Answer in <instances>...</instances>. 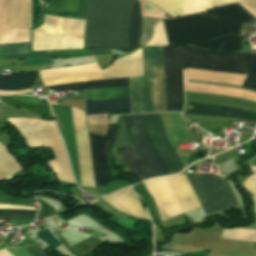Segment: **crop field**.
I'll return each instance as SVG.
<instances>
[{
    "label": "crop field",
    "instance_id": "1",
    "mask_svg": "<svg viewBox=\"0 0 256 256\" xmlns=\"http://www.w3.org/2000/svg\"><path fill=\"white\" fill-rule=\"evenodd\" d=\"M204 13L216 17L193 14L164 21L169 45H186L217 51L223 43L220 51L232 52L242 49L239 35L216 37L228 33H239L241 23L251 22L253 16L238 4ZM210 39L213 40L208 41Z\"/></svg>",
    "mask_w": 256,
    "mask_h": 256
},
{
    "label": "crop field",
    "instance_id": "2",
    "mask_svg": "<svg viewBox=\"0 0 256 256\" xmlns=\"http://www.w3.org/2000/svg\"><path fill=\"white\" fill-rule=\"evenodd\" d=\"M167 111L182 107L181 67L248 75L256 62V54H231L188 47L163 48ZM244 87L256 89V63L247 76Z\"/></svg>",
    "mask_w": 256,
    "mask_h": 256
},
{
    "label": "crop field",
    "instance_id": "3",
    "mask_svg": "<svg viewBox=\"0 0 256 256\" xmlns=\"http://www.w3.org/2000/svg\"><path fill=\"white\" fill-rule=\"evenodd\" d=\"M139 33L137 0H90L84 48L132 50L138 45Z\"/></svg>",
    "mask_w": 256,
    "mask_h": 256
},
{
    "label": "crop field",
    "instance_id": "4",
    "mask_svg": "<svg viewBox=\"0 0 256 256\" xmlns=\"http://www.w3.org/2000/svg\"><path fill=\"white\" fill-rule=\"evenodd\" d=\"M138 147L156 177L180 172L184 165L169 144L159 113L127 115ZM127 116L121 118L113 148L135 146L153 177L154 173L140 153ZM177 142L178 138L175 137Z\"/></svg>",
    "mask_w": 256,
    "mask_h": 256
},
{
    "label": "crop field",
    "instance_id": "5",
    "mask_svg": "<svg viewBox=\"0 0 256 256\" xmlns=\"http://www.w3.org/2000/svg\"><path fill=\"white\" fill-rule=\"evenodd\" d=\"M207 215L238 206L228 182L214 174H183ZM158 208L161 220L180 214L164 177L144 181Z\"/></svg>",
    "mask_w": 256,
    "mask_h": 256
},
{
    "label": "crop field",
    "instance_id": "6",
    "mask_svg": "<svg viewBox=\"0 0 256 256\" xmlns=\"http://www.w3.org/2000/svg\"><path fill=\"white\" fill-rule=\"evenodd\" d=\"M71 112L82 185L94 187V183L95 186H100L111 182L107 156L110 154L118 123L109 124L106 136L88 132L94 176L93 183L84 112L72 107Z\"/></svg>",
    "mask_w": 256,
    "mask_h": 256
},
{
    "label": "crop field",
    "instance_id": "7",
    "mask_svg": "<svg viewBox=\"0 0 256 256\" xmlns=\"http://www.w3.org/2000/svg\"><path fill=\"white\" fill-rule=\"evenodd\" d=\"M245 78L246 76H243V75H234V74L208 72V71L191 70V69L184 70V80H190V81L242 86ZM190 81H184V82H190ZM199 82H190V83H199ZM208 83H200V84H208ZM218 84H208V85L237 88V89L256 92V90H252L244 87L218 85ZM208 85L185 83V91L226 95V96H233V97H239L243 99L256 101V93L237 90V89L208 86ZM185 114L227 117V118H240V119L256 122L255 113L241 111L237 109H231V108L204 106V105H197V104H190V103H187V109Z\"/></svg>",
    "mask_w": 256,
    "mask_h": 256
},
{
    "label": "crop field",
    "instance_id": "8",
    "mask_svg": "<svg viewBox=\"0 0 256 256\" xmlns=\"http://www.w3.org/2000/svg\"><path fill=\"white\" fill-rule=\"evenodd\" d=\"M144 76L129 78L131 114L166 111L162 48H142Z\"/></svg>",
    "mask_w": 256,
    "mask_h": 256
},
{
    "label": "crop field",
    "instance_id": "9",
    "mask_svg": "<svg viewBox=\"0 0 256 256\" xmlns=\"http://www.w3.org/2000/svg\"><path fill=\"white\" fill-rule=\"evenodd\" d=\"M124 85H129L128 78L97 80L49 86L48 88L54 91H60L74 89L106 88ZM86 96L87 101L130 97L129 86L86 90ZM126 110H131L130 98L87 102V115Z\"/></svg>",
    "mask_w": 256,
    "mask_h": 256
},
{
    "label": "crop field",
    "instance_id": "10",
    "mask_svg": "<svg viewBox=\"0 0 256 256\" xmlns=\"http://www.w3.org/2000/svg\"><path fill=\"white\" fill-rule=\"evenodd\" d=\"M30 41V29H20V0H0V43Z\"/></svg>",
    "mask_w": 256,
    "mask_h": 256
},
{
    "label": "crop field",
    "instance_id": "11",
    "mask_svg": "<svg viewBox=\"0 0 256 256\" xmlns=\"http://www.w3.org/2000/svg\"><path fill=\"white\" fill-rule=\"evenodd\" d=\"M143 75L141 49L102 70V79Z\"/></svg>",
    "mask_w": 256,
    "mask_h": 256
},
{
    "label": "crop field",
    "instance_id": "12",
    "mask_svg": "<svg viewBox=\"0 0 256 256\" xmlns=\"http://www.w3.org/2000/svg\"><path fill=\"white\" fill-rule=\"evenodd\" d=\"M14 58H28L20 63V65H42L51 63L48 54L30 55V42L0 44V60Z\"/></svg>",
    "mask_w": 256,
    "mask_h": 256
},
{
    "label": "crop field",
    "instance_id": "13",
    "mask_svg": "<svg viewBox=\"0 0 256 256\" xmlns=\"http://www.w3.org/2000/svg\"><path fill=\"white\" fill-rule=\"evenodd\" d=\"M26 139H34L59 134L53 122L15 118L7 119Z\"/></svg>",
    "mask_w": 256,
    "mask_h": 256
},
{
    "label": "crop field",
    "instance_id": "14",
    "mask_svg": "<svg viewBox=\"0 0 256 256\" xmlns=\"http://www.w3.org/2000/svg\"><path fill=\"white\" fill-rule=\"evenodd\" d=\"M36 78V73L2 76L0 77V90L28 89L31 88ZM29 92H31V89L22 91H0V94H23Z\"/></svg>",
    "mask_w": 256,
    "mask_h": 256
},
{
    "label": "crop field",
    "instance_id": "15",
    "mask_svg": "<svg viewBox=\"0 0 256 256\" xmlns=\"http://www.w3.org/2000/svg\"><path fill=\"white\" fill-rule=\"evenodd\" d=\"M123 161L128 166L132 175L140 180L151 178L152 175L146 168L145 164L135 151L134 147L118 149Z\"/></svg>",
    "mask_w": 256,
    "mask_h": 256
},
{
    "label": "crop field",
    "instance_id": "16",
    "mask_svg": "<svg viewBox=\"0 0 256 256\" xmlns=\"http://www.w3.org/2000/svg\"><path fill=\"white\" fill-rule=\"evenodd\" d=\"M1 101L9 105L21 107L39 116L50 117L48 107L43 106L37 97L9 96L3 97Z\"/></svg>",
    "mask_w": 256,
    "mask_h": 256
},
{
    "label": "crop field",
    "instance_id": "17",
    "mask_svg": "<svg viewBox=\"0 0 256 256\" xmlns=\"http://www.w3.org/2000/svg\"><path fill=\"white\" fill-rule=\"evenodd\" d=\"M50 1L48 7L43 6L44 11L60 14L79 15L82 0H43Z\"/></svg>",
    "mask_w": 256,
    "mask_h": 256
},
{
    "label": "crop field",
    "instance_id": "18",
    "mask_svg": "<svg viewBox=\"0 0 256 256\" xmlns=\"http://www.w3.org/2000/svg\"><path fill=\"white\" fill-rule=\"evenodd\" d=\"M21 169L18 162L11 157L4 145L0 144V178L5 175L11 176Z\"/></svg>",
    "mask_w": 256,
    "mask_h": 256
},
{
    "label": "crop field",
    "instance_id": "19",
    "mask_svg": "<svg viewBox=\"0 0 256 256\" xmlns=\"http://www.w3.org/2000/svg\"><path fill=\"white\" fill-rule=\"evenodd\" d=\"M149 2L166 12L171 17L183 15L182 0H142Z\"/></svg>",
    "mask_w": 256,
    "mask_h": 256
},
{
    "label": "crop field",
    "instance_id": "20",
    "mask_svg": "<svg viewBox=\"0 0 256 256\" xmlns=\"http://www.w3.org/2000/svg\"><path fill=\"white\" fill-rule=\"evenodd\" d=\"M222 237L256 242V231L243 229H225Z\"/></svg>",
    "mask_w": 256,
    "mask_h": 256
},
{
    "label": "crop field",
    "instance_id": "21",
    "mask_svg": "<svg viewBox=\"0 0 256 256\" xmlns=\"http://www.w3.org/2000/svg\"><path fill=\"white\" fill-rule=\"evenodd\" d=\"M242 0H194L195 13H201L211 7L235 3Z\"/></svg>",
    "mask_w": 256,
    "mask_h": 256
},
{
    "label": "crop field",
    "instance_id": "22",
    "mask_svg": "<svg viewBox=\"0 0 256 256\" xmlns=\"http://www.w3.org/2000/svg\"><path fill=\"white\" fill-rule=\"evenodd\" d=\"M25 142L30 147H51L47 137L34 140H25ZM48 166L56 174L58 180H61L56 160L53 159L48 161Z\"/></svg>",
    "mask_w": 256,
    "mask_h": 256
},
{
    "label": "crop field",
    "instance_id": "23",
    "mask_svg": "<svg viewBox=\"0 0 256 256\" xmlns=\"http://www.w3.org/2000/svg\"><path fill=\"white\" fill-rule=\"evenodd\" d=\"M5 249L14 256H48L44 253L40 246H25V249L29 252L30 255L23 247Z\"/></svg>",
    "mask_w": 256,
    "mask_h": 256
},
{
    "label": "crop field",
    "instance_id": "24",
    "mask_svg": "<svg viewBox=\"0 0 256 256\" xmlns=\"http://www.w3.org/2000/svg\"><path fill=\"white\" fill-rule=\"evenodd\" d=\"M168 45L164 25L159 22L155 28L154 37L150 40V42L146 46H165Z\"/></svg>",
    "mask_w": 256,
    "mask_h": 256
},
{
    "label": "crop field",
    "instance_id": "25",
    "mask_svg": "<svg viewBox=\"0 0 256 256\" xmlns=\"http://www.w3.org/2000/svg\"><path fill=\"white\" fill-rule=\"evenodd\" d=\"M30 210H0V214H35ZM34 215H0V219H32Z\"/></svg>",
    "mask_w": 256,
    "mask_h": 256
},
{
    "label": "crop field",
    "instance_id": "26",
    "mask_svg": "<svg viewBox=\"0 0 256 256\" xmlns=\"http://www.w3.org/2000/svg\"><path fill=\"white\" fill-rule=\"evenodd\" d=\"M52 53L54 58L92 55L90 49L60 50L52 51Z\"/></svg>",
    "mask_w": 256,
    "mask_h": 256
},
{
    "label": "crop field",
    "instance_id": "27",
    "mask_svg": "<svg viewBox=\"0 0 256 256\" xmlns=\"http://www.w3.org/2000/svg\"><path fill=\"white\" fill-rule=\"evenodd\" d=\"M136 189L139 191V193L141 194V196L143 197V199L147 202L154 218H158L159 215H158V212H157V209H156V206L154 204V201L151 197V195L149 194V192L147 191L146 187L144 186L143 182L136 185L135 186Z\"/></svg>",
    "mask_w": 256,
    "mask_h": 256
},
{
    "label": "crop field",
    "instance_id": "28",
    "mask_svg": "<svg viewBox=\"0 0 256 256\" xmlns=\"http://www.w3.org/2000/svg\"><path fill=\"white\" fill-rule=\"evenodd\" d=\"M141 2V1H140ZM142 15L167 19L166 14L160 11L158 8L149 5L145 2H141Z\"/></svg>",
    "mask_w": 256,
    "mask_h": 256
},
{
    "label": "crop field",
    "instance_id": "29",
    "mask_svg": "<svg viewBox=\"0 0 256 256\" xmlns=\"http://www.w3.org/2000/svg\"><path fill=\"white\" fill-rule=\"evenodd\" d=\"M40 239H42L44 242L47 244L51 245L52 247H57L61 243L50 233V231H43V232H38L37 235Z\"/></svg>",
    "mask_w": 256,
    "mask_h": 256
},
{
    "label": "crop field",
    "instance_id": "30",
    "mask_svg": "<svg viewBox=\"0 0 256 256\" xmlns=\"http://www.w3.org/2000/svg\"><path fill=\"white\" fill-rule=\"evenodd\" d=\"M184 15L192 14L193 11V0H183Z\"/></svg>",
    "mask_w": 256,
    "mask_h": 256
},
{
    "label": "crop field",
    "instance_id": "31",
    "mask_svg": "<svg viewBox=\"0 0 256 256\" xmlns=\"http://www.w3.org/2000/svg\"><path fill=\"white\" fill-rule=\"evenodd\" d=\"M42 210L47 214V216L56 214V211L46 203H43Z\"/></svg>",
    "mask_w": 256,
    "mask_h": 256
},
{
    "label": "crop field",
    "instance_id": "32",
    "mask_svg": "<svg viewBox=\"0 0 256 256\" xmlns=\"http://www.w3.org/2000/svg\"><path fill=\"white\" fill-rule=\"evenodd\" d=\"M94 55L112 54L110 49H91Z\"/></svg>",
    "mask_w": 256,
    "mask_h": 256
},
{
    "label": "crop field",
    "instance_id": "33",
    "mask_svg": "<svg viewBox=\"0 0 256 256\" xmlns=\"http://www.w3.org/2000/svg\"><path fill=\"white\" fill-rule=\"evenodd\" d=\"M0 256H12L9 252H7L5 249L0 250Z\"/></svg>",
    "mask_w": 256,
    "mask_h": 256
},
{
    "label": "crop field",
    "instance_id": "34",
    "mask_svg": "<svg viewBox=\"0 0 256 256\" xmlns=\"http://www.w3.org/2000/svg\"><path fill=\"white\" fill-rule=\"evenodd\" d=\"M252 170L254 173H256V167L255 166H251Z\"/></svg>",
    "mask_w": 256,
    "mask_h": 256
},
{
    "label": "crop field",
    "instance_id": "35",
    "mask_svg": "<svg viewBox=\"0 0 256 256\" xmlns=\"http://www.w3.org/2000/svg\"><path fill=\"white\" fill-rule=\"evenodd\" d=\"M255 203H256V201H255Z\"/></svg>",
    "mask_w": 256,
    "mask_h": 256
}]
</instances>
